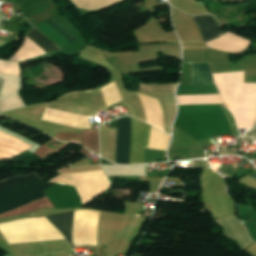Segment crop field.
Wrapping results in <instances>:
<instances>
[{
  "instance_id": "5",
  "label": "crop field",
  "mask_w": 256,
  "mask_h": 256,
  "mask_svg": "<svg viewBox=\"0 0 256 256\" xmlns=\"http://www.w3.org/2000/svg\"><path fill=\"white\" fill-rule=\"evenodd\" d=\"M48 218L55 227L64 234L65 238H67L69 243L72 245L69 212L48 216Z\"/></svg>"
},
{
  "instance_id": "6",
  "label": "crop field",
  "mask_w": 256,
  "mask_h": 256,
  "mask_svg": "<svg viewBox=\"0 0 256 256\" xmlns=\"http://www.w3.org/2000/svg\"><path fill=\"white\" fill-rule=\"evenodd\" d=\"M35 44L46 53L59 50V48L34 27L26 34Z\"/></svg>"
},
{
  "instance_id": "1",
  "label": "crop field",
  "mask_w": 256,
  "mask_h": 256,
  "mask_svg": "<svg viewBox=\"0 0 256 256\" xmlns=\"http://www.w3.org/2000/svg\"><path fill=\"white\" fill-rule=\"evenodd\" d=\"M117 150L116 163L128 164L129 151V117L117 119ZM130 151L129 164L142 163L143 148H147L151 126L130 117Z\"/></svg>"
},
{
  "instance_id": "2",
  "label": "crop field",
  "mask_w": 256,
  "mask_h": 256,
  "mask_svg": "<svg viewBox=\"0 0 256 256\" xmlns=\"http://www.w3.org/2000/svg\"><path fill=\"white\" fill-rule=\"evenodd\" d=\"M35 174L26 177H13L0 183V213L45 196L44 189L53 185Z\"/></svg>"
},
{
  "instance_id": "4",
  "label": "crop field",
  "mask_w": 256,
  "mask_h": 256,
  "mask_svg": "<svg viewBox=\"0 0 256 256\" xmlns=\"http://www.w3.org/2000/svg\"><path fill=\"white\" fill-rule=\"evenodd\" d=\"M192 84H214L208 63H191Z\"/></svg>"
},
{
  "instance_id": "8",
  "label": "crop field",
  "mask_w": 256,
  "mask_h": 256,
  "mask_svg": "<svg viewBox=\"0 0 256 256\" xmlns=\"http://www.w3.org/2000/svg\"><path fill=\"white\" fill-rule=\"evenodd\" d=\"M45 22L50 25L56 32H58L64 39L69 43L73 44L79 41L65 26L59 23L53 17L45 20Z\"/></svg>"
},
{
  "instance_id": "10",
  "label": "crop field",
  "mask_w": 256,
  "mask_h": 256,
  "mask_svg": "<svg viewBox=\"0 0 256 256\" xmlns=\"http://www.w3.org/2000/svg\"><path fill=\"white\" fill-rule=\"evenodd\" d=\"M224 149H225V147H224Z\"/></svg>"
},
{
  "instance_id": "3",
  "label": "crop field",
  "mask_w": 256,
  "mask_h": 256,
  "mask_svg": "<svg viewBox=\"0 0 256 256\" xmlns=\"http://www.w3.org/2000/svg\"><path fill=\"white\" fill-rule=\"evenodd\" d=\"M191 17L196 23L205 42L214 40L226 32L214 24L210 14Z\"/></svg>"
},
{
  "instance_id": "7",
  "label": "crop field",
  "mask_w": 256,
  "mask_h": 256,
  "mask_svg": "<svg viewBox=\"0 0 256 256\" xmlns=\"http://www.w3.org/2000/svg\"><path fill=\"white\" fill-rule=\"evenodd\" d=\"M77 8H84L87 10H96L121 0H72Z\"/></svg>"
},
{
  "instance_id": "9",
  "label": "crop field",
  "mask_w": 256,
  "mask_h": 256,
  "mask_svg": "<svg viewBox=\"0 0 256 256\" xmlns=\"http://www.w3.org/2000/svg\"><path fill=\"white\" fill-rule=\"evenodd\" d=\"M256 124V117H255V123H254V125Z\"/></svg>"
}]
</instances>
